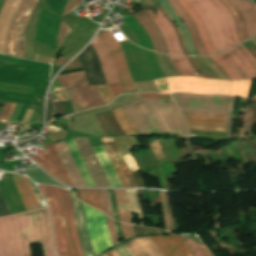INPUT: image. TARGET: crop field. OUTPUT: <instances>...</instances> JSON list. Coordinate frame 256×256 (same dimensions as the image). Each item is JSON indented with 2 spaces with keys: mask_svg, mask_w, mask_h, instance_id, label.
<instances>
[{
  "mask_svg": "<svg viewBox=\"0 0 256 256\" xmlns=\"http://www.w3.org/2000/svg\"><path fill=\"white\" fill-rule=\"evenodd\" d=\"M33 243H41L44 256H56L47 207L0 217V256H32Z\"/></svg>",
  "mask_w": 256,
  "mask_h": 256,
  "instance_id": "1",
  "label": "crop field"
},
{
  "mask_svg": "<svg viewBox=\"0 0 256 256\" xmlns=\"http://www.w3.org/2000/svg\"><path fill=\"white\" fill-rule=\"evenodd\" d=\"M141 98L164 97L157 93L139 94ZM138 132H177L190 136L180 111L171 97L140 99L123 105Z\"/></svg>",
  "mask_w": 256,
  "mask_h": 256,
  "instance_id": "2",
  "label": "crop field"
},
{
  "mask_svg": "<svg viewBox=\"0 0 256 256\" xmlns=\"http://www.w3.org/2000/svg\"><path fill=\"white\" fill-rule=\"evenodd\" d=\"M38 188L44 194L52 213L57 252L63 256H69V254L70 256H84L76 232L74 212L68 191L47 185H38Z\"/></svg>",
  "mask_w": 256,
  "mask_h": 256,
  "instance_id": "3",
  "label": "crop field"
},
{
  "mask_svg": "<svg viewBox=\"0 0 256 256\" xmlns=\"http://www.w3.org/2000/svg\"><path fill=\"white\" fill-rule=\"evenodd\" d=\"M206 25L216 53L240 44L231 12L220 0H186Z\"/></svg>",
  "mask_w": 256,
  "mask_h": 256,
  "instance_id": "4",
  "label": "crop field"
},
{
  "mask_svg": "<svg viewBox=\"0 0 256 256\" xmlns=\"http://www.w3.org/2000/svg\"><path fill=\"white\" fill-rule=\"evenodd\" d=\"M161 93L175 91L199 94H248L250 81L206 80L197 77H172L154 80Z\"/></svg>",
  "mask_w": 256,
  "mask_h": 256,
  "instance_id": "5",
  "label": "crop field"
},
{
  "mask_svg": "<svg viewBox=\"0 0 256 256\" xmlns=\"http://www.w3.org/2000/svg\"><path fill=\"white\" fill-rule=\"evenodd\" d=\"M181 112L191 113H227V140L232 132V105L235 97L209 96L196 94H171Z\"/></svg>",
  "mask_w": 256,
  "mask_h": 256,
  "instance_id": "6",
  "label": "crop field"
},
{
  "mask_svg": "<svg viewBox=\"0 0 256 256\" xmlns=\"http://www.w3.org/2000/svg\"><path fill=\"white\" fill-rule=\"evenodd\" d=\"M66 94L71 99L73 111H83L105 105L94 86H88L83 71L57 77Z\"/></svg>",
  "mask_w": 256,
  "mask_h": 256,
  "instance_id": "7",
  "label": "crop field"
},
{
  "mask_svg": "<svg viewBox=\"0 0 256 256\" xmlns=\"http://www.w3.org/2000/svg\"><path fill=\"white\" fill-rule=\"evenodd\" d=\"M83 205L89 239L97 255L113 246L109 237L105 215L85 204Z\"/></svg>",
  "mask_w": 256,
  "mask_h": 256,
  "instance_id": "8",
  "label": "crop field"
},
{
  "mask_svg": "<svg viewBox=\"0 0 256 256\" xmlns=\"http://www.w3.org/2000/svg\"><path fill=\"white\" fill-rule=\"evenodd\" d=\"M218 55L232 68L238 80L256 78V59L243 44Z\"/></svg>",
  "mask_w": 256,
  "mask_h": 256,
  "instance_id": "9",
  "label": "crop field"
},
{
  "mask_svg": "<svg viewBox=\"0 0 256 256\" xmlns=\"http://www.w3.org/2000/svg\"><path fill=\"white\" fill-rule=\"evenodd\" d=\"M99 36L106 44L114 64L115 71L126 93H138L128 72L122 48L109 31H100Z\"/></svg>",
  "mask_w": 256,
  "mask_h": 256,
  "instance_id": "10",
  "label": "crop field"
},
{
  "mask_svg": "<svg viewBox=\"0 0 256 256\" xmlns=\"http://www.w3.org/2000/svg\"><path fill=\"white\" fill-rule=\"evenodd\" d=\"M139 5L143 9H152L155 14L158 9L157 6L150 0H141L139 1ZM152 10L145 11L153 19V21L156 23L158 28L163 33L169 54L184 55L178 43L176 33L171 24L164 18L165 16L163 17L159 9L157 11L156 16L152 12Z\"/></svg>",
  "mask_w": 256,
  "mask_h": 256,
  "instance_id": "11",
  "label": "crop field"
},
{
  "mask_svg": "<svg viewBox=\"0 0 256 256\" xmlns=\"http://www.w3.org/2000/svg\"><path fill=\"white\" fill-rule=\"evenodd\" d=\"M189 129L226 132V114L183 113Z\"/></svg>",
  "mask_w": 256,
  "mask_h": 256,
  "instance_id": "12",
  "label": "crop field"
},
{
  "mask_svg": "<svg viewBox=\"0 0 256 256\" xmlns=\"http://www.w3.org/2000/svg\"><path fill=\"white\" fill-rule=\"evenodd\" d=\"M48 152L30 156L35 162L43 167L47 172L65 184L71 185L68 176L56 154L54 145H46Z\"/></svg>",
  "mask_w": 256,
  "mask_h": 256,
  "instance_id": "13",
  "label": "crop field"
},
{
  "mask_svg": "<svg viewBox=\"0 0 256 256\" xmlns=\"http://www.w3.org/2000/svg\"><path fill=\"white\" fill-rule=\"evenodd\" d=\"M123 187H136L126 162L113 138H101Z\"/></svg>",
  "mask_w": 256,
  "mask_h": 256,
  "instance_id": "14",
  "label": "crop field"
},
{
  "mask_svg": "<svg viewBox=\"0 0 256 256\" xmlns=\"http://www.w3.org/2000/svg\"><path fill=\"white\" fill-rule=\"evenodd\" d=\"M97 187H110L87 138L75 139Z\"/></svg>",
  "mask_w": 256,
  "mask_h": 256,
  "instance_id": "15",
  "label": "crop field"
},
{
  "mask_svg": "<svg viewBox=\"0 0 256 256\" xmlns=\"http://www.w3.org/2000/svg\"><path fill=\"white\" fill-rule=\"evenodd\" d=\"M165 256H192L180 236H150Z\"/></svg>",
  "mask_w": 256,
  "mask_h": 256,
  "instance_id": "16",
  "label": "crop field"
},
{
  "mask_svg": "<svg viewBox=\"0 0 256 256\" xmlns=\"http://www.w3.org/2000/svg\"><path fill=\"white\" fill-rule=\"evenodd\" d=\"M20 2L21 0H6L0 12V53L6 54L8 29Z\"/></svg>",
  "mask_w": 256,
  "mask_h": 256,
  "instance_id": "17",
  "label": "crop field"
},
{
  "mask_svg": "<svg viewBox=\"0 0 256 256\" xmlns=\"http://www.w3.org/2000/svg\"><path fill=\"white\" fill-rule=\"evenodd\" d=\"M134 16L152 40L155 51L168 54L164 37L150 17L143 10Z\"/></svg>",
  "mask_w": 256,
  "mask_h": 256,
  "instance_id": "18",
  "label": "crop field"
},
{
  "mask_svg": "<svg viewBox=\"0 0 256 256\" xmlns=\"http://www.w3.org/2000/svg\"><path fill=\"white\" fill-rule=\"evenodd\" d=\"M69 193L71 195L73 206H74L77 232H78V235L80 238V242H81L84 254H85V256H94V253L92 251V246L90 244V241L88 239L87 232H86L83 205L80 201H78L74 197L71 190H69Z\"/></svg>",
  "mask_w": 256,
  "mask_h": 256,
  "instance_id": "19",
  "label": "crop field"
},
{
  "mask_svg": "<svg viewBox=\"0 0 256 256\" xmlns=\"http://www.w3.org/2000/svg\"><path fill=\"white\" fill-rule=\"evenodd\" d=\"M124 245L133 256H164L148 236L135 237Z\"/></svg>",
  "mask_w": 256,
  "mask_h": 256,
  "instance_id": "20",
  "label": "crop field"
},
{
  "mask_svg": "<svg viewBox=\"0 0 256 256\" xmlns=\"http://www.w3.org/2000/svg\"><path fill=\"white\" fill-rule=\"evenodd\" d=\"M91 44L93 45V47L98 55V58H99V61L101 64V68H102V71H103V74L105 76L107 83L110 84V83L119 82V80L115 74L108 50H107L106 46L104 45L103 41L99 37L96 36V38L94 39V41Z\"/></svg>",
  "mask_w": 256,
  "mask_h": 256,
  "instance_id": "21",
  "label": "crop field"
},
{
  "mask_svg": "<svg viewBox=\"0 0 256 256\" xmlns=\"http://www.w3.org/2000/svg\"><path fill=\"white\" fill-rule=\"evenodd\" d=\"M56 151L62 161V164L71 180L73 186L84 187L81 177L72 161V158L67 150L65 142L54 144Z\"/></svg>",
  "mask_w": 256,
  "mask_h": 256,
  "instance_id": "22",
  "label": "crop field"
},
{
  "mask_svg": "<svg viewBox=\"0 0 256 256\" xmlns=\"http://www.w3.org/2000/svg\"><path fill=\"white\" fill-rule=\"evenodd\" d=\"M12 174V173H11ZM17 191L25 205L26 210L39 208V204L27 178L12 174Z\"/></svg>",
  "mask_w": 256,
  "mask_h": 256,
  "instance_id": "23",
  "label": "crop field"
},
{
  "mask_svg": "<svg viewBox=\"0 0 256 256\" xmlns=\"http://www.w3.org/2000/svg\"><path fill=\"white\" fill-rule=\"evenodd\" d=\"M72 107L66 94H49L48 118L61 114H72Z\"/></svg>",
  "mask_w": 256,
  "mask_h": 256,
  "instance_id": "24",
  "label": "crop field"
},
{
  "mask_svg": "<svg viewBox=\"0 0 256 256\" xmlns=\"http://www.w3.org/2000/svg\"><path fill=\"white\" fill-rule=\"evenodd\" d=\"M170 5L173 7V9L178 13V15L183 19V21L186 23L193 39L194 46L198 52L199 55H207L202 42L200 40L199 34L197 32L196 26L193 24L192 20L189 18V16L186 14V12L183 10V8L180 6V4L177 2V0H167Z\"/></svg>",
  "mask_w": 256,
  "mask_h": 256,
  "instance_id": "25",
  "label": "crop field"
},
{
  "mask_svg": "<svg viewBox=\"0 0 256 256\" xmlns=\"http://www.w3.org/2000/svg\"><path fill=\"white\" fill-rule=\"evenodd\" d=\"M178 2L181 4V6L184 8V10L187 12V14L191 17V19L196 24L207 53L209 55L216 54L211 45L210 38L208 36L207 30L201 18L197 15V13L190 7V5L185 0H178Z\"/></svg>",
  "mask_w": 256,
  "mask_h": 256,
  "instance_id": "26",
  "label": "crop field"
},
{
  "mask_svg": "<svg viewBox=\"0 0 256 256\" xmlns=\"http://www.w3.org/2000/svg\"><path fill=\"white\" fill-rule=\"evenodd\" d=\"M93 150L109 180L110 186L122 187L103 146L101 145V146L93 147Z\"/></svg>",
  "mask_w": 256,
  "mask_h": 256,
  "instance_id": "27",
  "label": "crop field"
},
{
  "mask_svg": "<svg viewBox=\"0 0 256 256\" xmlns=\"http://www.w3.org/2000/svg\"><path fill=\"white\" fill-rule=\"evenodd\" d=\"M37 0H31L29 4L26 7V11L23 15V17L20 20L19 26L16 31V51H17V56L18 57H23L25 58V51H24V30H25V25L29 21V18L33 12V9L35 7Z\"/></svg>",
  "mask_w": 256,
  "mask_h": 256,
  "instance_id": "28",
  "label": "crop field"
},
{
  "mask_svg": "<svg viewBox=\"0 0 256 256\" xmlns=\"http://www.w3.org/2000/svg\"><path fill=\"white\" fill-rule=\"evenodd\" d=\"M233 1L238 5L243 14L247 27L248 37L250 39L256 32V12L250 2L244 0Z\"/></svg>",
  "mask_w": 256,
  "mask_h": 256,
  "instance_id": "29",
  "label": "crop field"
},
{
  "mask_svg": "<svg viewBox=\"0 0 256 256\" xmlns=\"http://www.w3.org/2000/svg\"><path fill=\"white\" fill-rule=\"evenodd\" d=\"M68 141H69V143H70V145H71V147H72V149H73V151H74V154H75V156H76V158H77V160H78V162H79V165H80V167H81V169H82V171H83V173H84V175H85V178H86V180H87L89 186H90V187H96L95 184H94V182H93V180H92V178H91V176H90V173H89V171H88V169H87V167H86V165H85V163H84V161H83V159H82V157H81V154H80V152H79V150H78V148H77V146H76L74 140L71 139V140H68ZM68 141L66 140L65 142H66L67 147H68V149H69V151H70V153H71V156H72V158H73V161H74V163H75V165H76V167H77V169H78V171H79V173H80V175H81V177H82V180H83L85 186H86V187H89L88 184H87V182H86V180H85V178H84V176H83V173H82V171H81V169H80V167H79V165H78V162H77V160H76V158H75V156H74V154H73V152H72V149H71V147H70Z\"/></svg>",
  "mask_w": 256,
  "mask_h": 256,
  "instance_id": "30",
  "label": "crop field"
},
{
  "mask_svg": "<svg viewBox=\"0 0 256 256\" xmlns=\"http://www.w3.org/2000/svg\"><path fill=\"white\" fill-rule=\"evenodd\" d=\"M222 3L233 13L235 22H236V28H237V34L241 41V43L249 40L246 33L245 24L243 21L242 14L237 7V5L232 0H221Z\"/></svg>",
  "mask_w": 256,
  "mask_h": 256,
  "instance_id": "31",
  "label": "crop field"
},
{
  "mask_svg": "<svg viewBox=\"0 0 256 256\" xmlns=\"http://www.w3.org/2000/svg\"><path fill=\"white\" fill-rule=\"evenodd\" d=\"M114 191L116 194V199H117L118 208H119L120 222L132 224L126 190H114Z\"/></svg>",
  "mask_w": 256,
  "mask_h": 256,
  "instance_id": "32",
  "label": "crop field"
},
{
  "mask_svg": "<svg viewBox=\"0 0 256 256\" xmlns=\"http://www.w3.org/2000/svg\"><path fill=\"white\" fill-rule=\"evenodd\" d=\"M111 112L113 113V115L119 122L120 126L124 130L125 135H138L135 127L130 121L128 115L124 112L122 106L111 110Z\"/></svg>",
  "mask_w": 256,
  "mask_h": 256,
  "instance_id": "33",
  "label": "crop field"
},
{
  "mask_svg": "<svg viewBox=\"0 0 256 256\" xmlns=\"http://www.w3.org/2000/svg\"><path fill=\"white\" fill-rule=\"evenodd\" d=\"M29 2V0H22L21 5L19 7V10L10 26V30H9V35H8V47H7V54L9 55H14L15 54V46H14V32H15V27L17 25V23L19 22L21 15L27 5V3Z\"/></svg>",
  "mask_w": 256,
  "mask_h": 256,
  "instance_id": "34",
  "label": "crop field"
},
{
  "mask_svg": "<svg viewBox=\"0 0 256 256\" xmlns=\"http://www.w3.org/2000/svg\"><path fill=\"white\" fill-rule=\"evenodd\" d=\"M80 198L82 201L105 212L99 190H80Z\"/></svg>",
  "mask_w": 256,
  "mask_h": 256,
  "instance_id": "35",
  "label": "crop field"
},
{
  "mask_svg": "<svg viewBox=\"0 0 256 256\" xmlns=\"http://www.w3.org/2000/svg\"><path fill=\"white\" fill-rule=\"evenodd\" d=\"M175 68L182 76H197L195 70L189 65L185 57L169 55Z\"/></svg>",
  "mask_w": 256,
  "mask_h": 256,
  "instance_id": "36",
  "label": "crop field"
},
{
  "mask_svg": "<svg viewBox=\"0 0 256 256\" xmlns=\"http://www.w3.org/2000/svg\"><path fill=\"white\" fill-rule=\"evenodd\" d=\"M183 241L185 242L186 246L193 254V256H213V254L209 251V249L202 245L195 242H192L188 238L181 236Z\"/></svg>",
  "mask_w": 256,
  "mask_h": 256,
  "instance_id": "37",
  "label": "crop field"
},
{
  "mask_svg": "<svg viewBox=\"0 0 256 256\" xmlns=\"http://www.w3.org/2000/svg\"><path fill=\"white\" fill-rule=\"evenodd\" d=\"M0 100L14 102V103L29 104L28 108H31V109L42 110V106H43V102H39V101H31V100H23V99H15V98H7V97H0Z\"/></svg>",
  "mask_w": 256,
  "mask_h": 256,
  "instance_id": "38",
  "label": "crop field"
},
{
  "mask_svg": "<svg viewBox=\"0 0 256 256\" xmlns=\"http://www.w3.org/2000/svg\"><path fill=\"white\" fill-rule=\"evenodd\" d=\"M95 87H96L100 97L105 102V104L114 98L108 85H97Z\"/></svg>",
  "mask_w": 256,
  "mask_h": 256,
  "instance_id": "39",
  "label": "crop field"
},
{
  "mask_svg": "<svg viewBox=\"0 0 256 256\" xmlns=\"http://www.w3.org/2000/svg\"><path fill=\"white\" fill-rule=\"evenodd\" d=\"M159 9L163 12V14L168 18V20L172 23L176 33H177V36H178V39H179V42H180V45H181V48L183 50V52L185 53V55H189L188 51L186 50L185 46H184V43H183V38H182V34L177 26V24L173 21V19L168 16L166 14V12L164 11L163 7L161 6V4L158 6Z\"/></svg>",
  "mask_w": 256,
  "mask_h": 256,
  "instance_id": "40",
  "label": "crop field"
},
{
  "mask_svg": "<svg viewBox=\"0 0 256 256\" xmlns=\"http://www.w3.org/2000/svg\"><path fill=\"white\" fill-rule=\"evenodd\" d=\"M15 104L6 102L2 112L0 113V122L2 123H8L9 118L12 114V111L14 109Z\"/></svg>",
  "mask_w": 256,
  "mask_h": 256,
  "instance_id": "41",
  "label": "crop field"
},
{
  "mask_svg": "<svg viewBox=\"0 0 256 256\" xmlns=\"http://www.w3.org/2000/svg\"><path fill=\"white\" fill-rule=\"evenodd\" d=\"M211 58L215 60L223 68V70L227 73L230 80H237L234 72L230 69V67L225 63V61L222 58H220L218 55L211 56Z\"/></svg>",
  "mask_w": 256,
  "mask_h": 256,
  "instance_id": "42",
  "label": "crop field"
},
{
  "mask_svg": "<svg viewBox=\"0 0 256 256\" xmlns=\"http://www.w3.org/2000/svg\"><path fill=\"white\" fill-rule=\"evenodd\" d=\"M106 219H107L109 232H110V237L112 239L113 245L119 244L118 239H117V235H116V231H115V227H114L113 219L109 218L108 216H106Z\"/></svg>",
  "mask_w": 256,
  "mask_h": 256,
  "instance_id": "43",
  "label": "crop field"
},
{
  "mask_svg": "<svg viewBox=\"0 0 256 256\" xmlns=\"http://www.w3.org/2000/svg\"><path fill=\"white\" fill-rule=\"evenodd\" d=\"M82 3L81 0H68L67 4H66V7L64 9V12L62 15L66 14V13H69V12H72V10H74L77 6H79L80 4ZM83 5V3L81 4ZM80 5V6H81ZM79 6V7H80Z\"/></svg>",
  "mask_w": 256,
  "mask_h": 256,
  "instance_id": "44",
  "label": "crop field"
},
{
  "mask_svg": "<svg viewBox=\"0 0 256 256\" xmlns=\"http://www.w3.org/2000/svg\"><path fill=\"white\" fill-rule=\"evenodd\" d=\"M121 229L125 241L135 236L132 226L121 224Z\"/></svg>",
  "mask_w": 256,
  "mask_h": 256,
  "instance_id": "45",
  "label": "crop field"
},
{
  "mask_svg": "<svg viewBox=\"0 0 256 256\" xmlns=\"http://www.w3.org/2000/svg\"><path fill=\"white\" fill-rule=\"evenodd\" d=\"M100 191H101V194H102V198H103L106 214H108L111 217H113L112 216L111 207H110V203H109V198H108L107 190H100Z\"/></svg>",
  "mask_w": 256,
  "mask_h": 256,
  "instance_id": "46",
  "label": "crop field"
},
{
  "mask_svg": "<svg viewBox=\"0 0 256 256\" xmlns=\"http://www.w3.org/2000/svg\"><path fill=\"white\" fill-rule=\"evenodd\" d=\"M159 192V196L161 199V203H162V207H163V212H164V218H165V224H166V231L170 232V228H169V220H168V216H167V209H166V202H165V198L162 192Z\"/></svg>",
  "mask_w": 256,
  "mask_h": 256,
  "instance_id": "47",
  "label": "crop field"
},
{
  "mask_svg": "<svg viewBox=\"0 0 256 256\" xmlns=\"http://www.w3.org/2000/svg\"><path fill=\"white\" fill-rule=\"evenodd\" d=\"M163 193H164V195H165L166 202H167L171 232H175V229H174V222H173V215H172V210H171V205H170V199H169V194H168V193H165V192H163Z\"/></svg>",
  "mask_w": 256,
  "mask_h": 256,
  "instance_id": "48",
  "label": "crop field"
},
{
  "mask_svg": "<svg viewBox=\"0 0 256 256\" xmlns=\"http://www.w3.org/2000/svg\"><path fill=\"white\" fill-rule=\"evenodd\" d=\"M109 87L114 97L117 96L118 94L125 93L120 83L111 84L109 85Z\"/></svg>",
  "mask_w": 256,
  "mask_h": 256,
  "instance_id": "49",
  "label": "crop field"
},
{
  "mask_svg": "<svg viewBox=\"0 0 256 256\" xmlns=\"http://www.w3.org/2000/svg\"><path fill=\"white\" fill-rule=\"evenodd\" d=\"M117 253L120 255V256H132L128 250L123 246V244L121 245H117L115 247H113Z\"/></svg>",
  "mask_w": 256,
  "mask_h": 256,
  "instance_id": "50",
  "label": "crop field"
},
{
  "mask_svg": "<svg viewBox=\"0 0 256 256\" xmlns=\"http://www.w3.org/2000/svg\"><path fill=\"white\" fill-rule=\"evenodd\" d=\"M187 59H188L189 63L194 67V69L199 68L201 70V72L204 70L201 66L197 67L196 64L193 62V60L191 59V57H187ZM202 73L205 75L206 78L210 79V77L207 75L206 72H202Z\"/></svg>",
  "mask_w": 256,
  "mask_h": 256,
  "instance_id": "51",
  "label": "crop field"
},
{
  "mask_svg": "<svg viewBox=\"0 0 256 256\" xmlns=\"http://www.w3.org/2000/svg\"><path fill=\"white\" fill-rule=\"evenodd\" d=\"M70 31H71V29L69 27H67L66 25H64L61 43H62V40L66 37L67 34H69Z\"/></svg>",
  "mask_w": 256,
  "mask_h": 256,
  "instance_id": "52",
  "label": "crop field"
},
{
  "mask_svg": "<svg viewBox=\"0 0 256 256\" xmlns=\"http://www.w3.org/2000/svg\"><path fill=\"white\" fill-rule=\"evenodd\" d=\"M68 60L64 59L63 57L59 58L58 60H56L54 62L53 65H63L65 62H67Z\"/></svg>",
  "mask_w": 256,
  "mask_h": 256,
  "instance_id": "53",
  "label": "crop field"
},
{
  "mask_svg": "<svg viewBox=\"0 0 256 256\" xmlns=\"http://www.w3.org/2000/svg\"><path fill=\"white\" fill-rule=\"evenodd\" d=\"M108 251L112 254V256H119V255L113 250V248L109 249Z\"/></svg>",
  "mask_w": 256,
  "mask_h": 256,
  "instance_id": "54",
  "label": "crop field"
},
{
  "mask_svg": "<svg viewBox=\"0 0 256 256\" xmlns=\"http://www.w3.org/2000/svg\"><path fill=\"white\" fill-rule=\"evenodd\" d=\"M78 65H82V64L73 61V62H72L71 64H69L68 66H78Z\"/></svg>",
  "mask_w": 256,
  "mask_h": 256,
  "instance_id": "55",
  "label": "crop field"
},
{
  "mask_svg": "<svg viewBox=\"0 0 256 256\" xmlns=\"http://www.w3.org/2000/svg\"><path fill=\"white\" fill-rule=\"evenodd\" d=\"M254 56H255V58H256V52L250 47L249 49H248Z\"/></svg>",
  "mask_w": 256,
  "mask_h": 256,
  "instance_id": "56",
  "label": "crop field"
},
{
  "mask_svg": "<svg viewBox=\"0 0 256 256\" xmlns=\"http://www.w3.org/2000/svg\"><path fill=\"white\" fill-rule=\"evenodd\" d=\"M103 256H107L106 253H104Z\"/></svg>",
  "mask_w": 256,
  "mask_h": 256,
  "instance_id": "57",
  "label": "crop field"
},
{
  "mask_svg": "<svg viewBox=\"0 0 256 256\" xmlns=\"http://www.w3.org/2000/svg\"><path fill=\"white\" fill-rule=\"evenodd\" d=\"M254 5V7H255V10H256V5L255 4H253Z\"/></svg>",
  "mask_w": 256,
  "mask_h": 256,
  "instance_id": "58",
  "label": "crop field"
}]
</instances>
